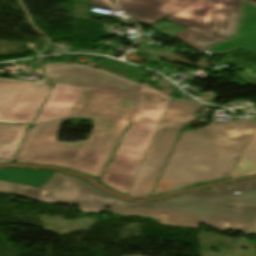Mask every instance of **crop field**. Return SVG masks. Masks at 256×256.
Wrapping results in <instances>:
<instances>
[{"mask_svg": "<svg viewBox=\"0 0 256 256\" xmlns=\"http://www.w3.org/2000/svg\"><path fill=\"white\" fill-rule=\"evenodd\" d=\"M50 88L41 82L0 78V122H33Z\"/></svg>", "mask_w": 256, "mask_h": 256, "instance_id": "e52e79f7", "label": "crop field"}, {"mask_svg": "<svg viewBox=\"0 0 256 256\" xmlns=\"http://www.w3.org/2000/svg\"><path fill=\"white\" fill-rule=\"evenodd\" d=\"M119 6L133 19L151 25L201 0H118Z\"/></svg>", "mask_w": 256, "mask_h": 256, "instance_id": "5a996713", "label": "crop field"}, {"mask_svg": "<svg viewBox=\"0 0 256 256\" xmlns=\"http://www.w3.org/2000/svg\"><path fill=\"white\" fill-rule=\"evenodd\" d=\"M162 1H166V0H162Z\"/></svg>", "mask_w": 256, "mask_h": 256, "instance_id": "4a817a6b", "label": "crop field"}, {"mask_svg": "<svg viewBox=\"0 0 256 256\" xmlns=\"http://www.w3.org/2000/svg\"><path fill=\"white\" fill-rule=\"evenodd\" d=\"M242 4L241 0H203L165 20L187 27L173 38L200 52L235 35Z\"/></svg>", "mask_w": 256, "mask_h": 256, "instance_id": "f4fd0767", "label": "crop field"}, {"mask_svg": "<svg viewBox=\"0 0 256 256\" xmlns=\"http://www.w3.org/2000/svg\"><path fill=\"white\" fill-rule=\"evenodd\" d=\"M238 46L256 52V6L246 3L239 33L207 51L222 55Z\"/></svg>", "mask_w": 256, "mask_h": 256, "instance_id": "28ad6ade", "label": "crop field"}, {"mask_svg": "<svg viewBox=\"0 0 256 256\" xmlns=\"http://www.w3.org/2000/svg\"><path fill=\"white\" fill-rule=\"evenodd\" d=\"M256 175V131L246 147L231 178Z\"/></svg>", "mask_w": 256, "mask_h": 256, "instance_id": "cbeb9de0", "label": "crop field"}, {"mask_svg": "<svg viewBox=\"0 0 256 256\" xmlns=\"http://www.w3.org/2000/svg\"><path fill=\"white\" fill-rule=\"evenodd\" d=\"M168 103L142 100L101 181L128 193Z\"/></svg>", "mask_w": 256, "mask_h": 256, "instance_id": "412701ff", "label": "crop field"}, {"mask_svg": "<svg viewBox=\"0 0 256 256\" xmlns=\"http://www.w3.org/2000/svg\"><path fill=\"white\" fill-rule=\"evenodd\" d=\"M234 191H240L235 194ZM111 207L113 214L138 215L158 220L166 226L199 229L205 224L221 232L232 228L254 234L256 231V180L201 190L148 204L128 203L85 185L78 208L87 214Z\"/></svg>", "mask_w": 256, "mask_h": 256, "instance_id": "ac0d7876", "label": "crop field"}, {"mask_svg": "<svg viewBox=\"0 0 256 256\" xmlns=\"http://www.w3.org/2000/svg\"><path fill=\"white\" fill-rule=\"evenodd\" d=\"M255 128L256 119L214 121L206 128L184 132L152 196L230 178Z\"/></svg>", "mask_w": 256, "mask_h": 256, "instance_id": "34b2d1b8", "label": "crop field"}, {"mask_svg": "<svg viewBox=\"0 0 256 256\" xmlns=\"http://www.w3.org/2000/svg\"><path fill=\"white\" fill-rule=\"evenodd\" d=\"M83 88L56 83L34 123H44L70 115Z\"/></svg>", "mask_w": 256, "mask_h": 256, "instance_id": "3316defc", "label": "crop field"}, {"mask_svg": "<svg viewBox=\"0 0 256 256\" xmlns=\"http://www.w3.org/2000/svg\"><path fill=\"white\" fill-rule=\"evenodd\" d=\"M16 184L0 180V193L14 195Z\"/></svg>", "mask_w": 256, "mask_h": 256, "instance_id": "733c2abd", "label": "crop field"}, {"mask_svg": "<svg viewBox=\"0 0 256 256\" xmlns=\"http://www.w3.org/2000/svg\"><path fill=\"white\" fill-rule=\"evenodd\" d=\"M54 172L27 169L0 170V179L42 188Z\"/></svg>", "mask_w": 256, "mask_h": 256, "instance_id": "22f410ed", "label": "crop field"}, {"mask_svg": "<svg viewBox=\"0 0 256 256\" xmlns=\"http://www.w3.org/2000/svg\"><path fill=\"white\" fill-rule=\"evenodd\" d=\"M91 6L114 10V11H120L116 6H114L109 0H92L90 3Z\"/></svg>", "mask_w": 256, "mask_h": 256, "instance_id": "d9b57169", "label": "crop field"}, {"mask_svg": "<svg viewBox=\"0 0 256 256\" xmlns=\"http://www.w3.org/2000/svg\"><path fill=\"white\" fill-rule=\"evenodd\" d=\"M203 107L204 105L199 102L170 100L128 196L149 197L167 162L176 138L188 122L201 118L197 113Z\"/></svg>", "mask_w": 256, "mask_h": 256, "instance_id": "dd49c442", "label": "crop field"}, {"mask_svg": "<svg viewBox=\"0 0 256 256\" xmlns=\"http://www.w3.org/2000/svg\"><path fill=\"white\" fill-rule=\"evenodd\" d=\"M28 126L0 124V163H11Z\"/></svg>", "mask_w": 256, "mask_h": 256, "instance_id": "d1516ede", "label": "crop field"}, {"mask_svg": "<svg viewBox=\"0 0 256 256\" xmlns=\"http://www.w3.org/2000/svg\"><path fill=\"white\" fill-rule=\"evenodd\" d=\"M84 181L55 173L42 188L17 184L15 195L45 203L77 204Z\"/></svg>", "mask_w": 256, "mask_h": 256, "instance_id": "d8731c3e", "label": "crop field"}, {"mask_svg": "<svg viewBox=\"0 0 256 256\" xmlns=\"http://www.w3.org/2000/svg\"><path fill=\"white\" fill-rule=\"evenodd\" d=\"M141 93H142V97L148 100L168 102L170 99L169 97L158 93L155 89L148 86L147 83L141 84Z\"/></svg>", "mask_w": 256, "mask_h": 256, "instance_id": "5142ce71", "label": "crop field"}, {"mask_svg": "<svg viewBox=\"0 0 256 256\" xmlns=\"http://www.w3.org/2000/svg\"><path fill=\"white\" fill-rule=\"evenodd\" d=\"M48 79L87 87L72 114L27 131L16 162L50 164L100 177L141 102L139 85L102 69L80 64H44ZM82 117L95 121L88 140L58 142L61 123Z\"/></svg>", "mask_w": 256, "mask_h": 256, "instance_id": "8a807250", "label": "crop field"}]
</instances>
